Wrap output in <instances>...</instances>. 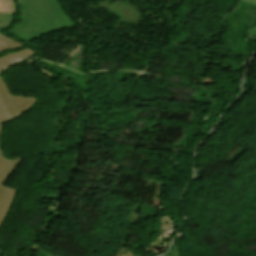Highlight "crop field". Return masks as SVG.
Here are the masks:
<instances>
[{
	"mask_svg": "<svg viewBox=\"0 0 256 256\" xmlns=\"http://www.w3.org/2000/svg\"><path fill=\"white\" fill-rule=\"evenodd\" d=\"M5 36H6V34L4 32L0 31V52H4L6 50L16 48V47L23 45L18 42L7 39V38H5Z\"/></svg>",
	"mask_w": 256,
	"mask_h": 256,
	"instance_id": "crop-field-5",
	"label": "crop field"
},
{
	"mask_svg": "<svg viewBox=\"0 0 256 256\" xmlns=\"http://www.w3.org/2000/svg\"><path fill=\"white\" fill-rule=\"evenodd\" d=\"M137 254L133 252L130 248H124L117 252L114 256H136Z\"/></svg>",
	"mask_w": 256,
	"mask_h": 256,
	"instance_id": "crop-field-8",
	"label": "crop field"
},
{
	"mask_svg": "<svg viewBox=\"0 0 256 256\" xmlns=\"http://www.w3.org/2000/svg\"><path fill=\"white\" fill-rule=\"evenodd\" d=\"M0 12L15 13L13 0H0Z\"/></svg>",
	"mask_w": 256,
	"mask_h": 256,
	"instance_id": "crop-field-7",
	"label": "crop field"
},
{
	"mask_svg": "<svg viewBox=\"0 0 256 256\" xmlns=\"http://www.w3.org/2000/svg\"><path fill=\"white\" fill-rule=\"evenodd\" d=\"M0 93L3 97L5 106L15 119L18 118L25 111H27L34 103V96H12L1 77Z\"/></svg>",
	"mask_w": 256,
	"mask_h": 256,
	"instance_id": "crop-field-3",
	"label": "crop field"
},
{
	"mask_svg": "<svg viewBox=\"0 0 256 256\" xmlns=\"http://www.w3.org/2000/svg\"><path fill=\"white\" fill-rule=\"evenodd\" d=\"M14 14L0 13V30L5 31L13 22Z\"/></svg>",
	"mask_w": 256,
	"mask_h": 256,
	"instance_id": "crop-field-6",
	"label": "crop field"
},
{
	"mask_svg": "<svg viewBox=\"0 0 256 256\" xmlns=\"http://www.w3.org/2000/svg\"><path fill=\"white\" fill-rule=\"evenodd\" d=\"M241 1H245V2L256 4V0H241Z\"/></svg>",
	"mask_w": 256,
	"mask_h": 256,
	"instance_id": "crop-field-10",
	"label": "crop field"
},
{
	"mask_svg": "<svg viewBox=\"0 0 256 256\" xmlns=\"http://www.w3.org/2000/svg\"><path fill=\"white\" fill-rule=\"evenodd\" d=\"M13 120L14 118L9 114L0 96V136L2 133V126ZM20 162V159L6 160L0 146V226L11 208L17 191L16 189L2 185Z\"/></svg>",
	"mask_w": 256,
	"mask_h": 256,
	"instance_id": "crop-field-2",
	"label": "crop field"
},
{
	"mask_svg": "<svg viewBox=\"0 0 256 256\" xmlns=\"http://www.w3.org/2000/svg\"><path fill=\"white\" fill-rule=\"evenodd\" d=\"M36 54V52L32 51L30 48H25L17 52L6 54L0 57V71L5 68L7 65L15 62L16 60L31 56Z\"/></svg>",
	"mask_w": 256,
	"mask_h": 256,
	"instance_id": "crop-field-4",
	"label": "crop field"
},
{
	"mask_svg": "<svg viewBox=\"0 0 256 256\" xmlns=\"http://www.w3.org/2000/svg\"><path fill=\"white\" fill-rule=\"evenodd\" d=\"M0 254H1V251H0Z\"/></svg>",
	"mask_w": 256,
	"mask_h": 256,
	"instance_id": "crop-field-11",
	"label": "crop field"
},
{
	"mask_svg": "<svg viewBox=\"0 0 256 256\" xmlns=\"http://www.w3.org/2000/svg\"><path fill=\"white\" fill-rule=\"evenodd\" d=\"M163 256H180V246H175L171 248L170 251H168L165 255Z\"/></svg>",
	"mask_w": 256,
	"mask_h": 256,
	"instance_id": "crop-field-9",
	"label": "crop field"
},
{
	"mask_svg": "<svg viewBox=\"0 0 256 256\" xmlns=\"http://www.w3.org/2000/svg\"><path fill=\"white\" fill-rule=\"evenodd\" d=\"M21 23L11 33L27 42L54 31L75 26L58 0H18Z\"/></svg>",
	"mask_w": 256,
	"mask_h": 256,
	"instance_id": "crop-field-1",
	"label": "crop field"
}]
</instances>
